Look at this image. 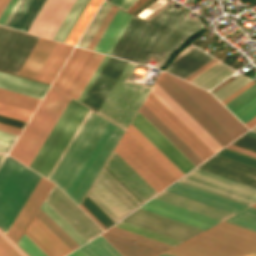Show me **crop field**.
<instances>
[{
    "label": "crop field",
    "instance_id": "crop-field-1",
    "mask_svg": "<svg viewBox=\"0 0 256 256\" xmlns=\"http://www.w3.org/2000/svg\"><path fill=\"white\" fill-rule=\"evenodd\" d=\"M123 132L89 110L47 179L79 205Z\"/></svg>",
    "mask_w": 256,
    "mask_h": 256
},
{
    "label": "crop field",
    "instance_id": "crop-field-2",
    "mask_svg": "<svg viewBox=\"0 0 256 256\" xmlns=\"http://www.w3.org/2000/svg\"><path fill=\"white\" fill-rule=\"evenodd\" d=\"M41 176L11 157L0 168V228L6 233ZM53 183L42 178L27 199L7 231L15 242L19 240Z\"/></svg>",
    "mask_w": 256,
    "mask_h": 256
},
{
    "label": "crop field",
    "instance_id": "crop-field-3",
    "mask_svg": "<svg viewBox=\"0 0 256 256\" xmlns=\"http://www.w3.org/2000/svg\"><path fill=\"white\" fill-rule=\"evenodd\" d=\"M256 251V233L222 222L167 251L177 256H243Z\"/></svg>",
    "mask_w": 256,
    "mask_h": 256
},
{
    "label": "crop field",
    "instance_id": "crop-field-4",
    "mask_svg": "<svg viewBox=\"0 0 256 256\" xmlns=\"http://www.w3.org/2000/svg\"><path fill=\"white\" fill-rule=\"evenodd\" d=\"M52 87L9 154L28 167L71 99Z\"/></svg>",
    "mask_w": 256,
    "mask_h": 256
},
{
    "label": "crop field",
    "instance_id": "crop-field-5",
    "mask_svg": "<svg viewBox=\"0 0 256 256\" xmlns=\"http://www.w3.org/2000/svg\"><path fill=\"white\" fill-rule=\"evenodd\" d=\"M136 67L137 64L128 62L97 112L124 130L151 89L128 81Z\"/></svg>",
    "mask_w": 256,
    "mask_h": 256
},
{
    "label": "crop field",
    "instance_id": "crop-field-6",
    "mask_svg": "<svg viewBox=\"0 0 256 256\" xmlns=\"http://www.w3.org/2000/svg\"><path fill=\"white\" fill-rule=\"evenodd\" d=\"M88 110L71 99L29 168L47 178Z\"/></svg>",
    "mask_w": 256,
    "mask_h": 256
},
{
    "label": "crop field",
    "instance_id": "crop-field-7",
    "mask_svg": "<svg viewBox=\"0 0 256 256\" xmlns=\"http://www.w3.org/2000/svg\"><path fill=\"white\" fill-rule=\"evenodd\" d=\"M87 196L115 223L142 205L104 167Z\"/></svg>",
    "mask_w": 256,
    "mask_h": 256
},
{
    "label": "crop field",
    "instance_id": "crop-field-8",
    "mask_svg": "<svg viewBox=\"0 0 256 256\" xmlns=\"http://www.w3.org/2000/svg\"><path fill=\"white\" fill-rule=\"evenodd\" d=\"M179 181L248 205L256 203V188L198 168Z\"/></svg>",
    "mask_w": 256,
    "mask_h": 256
},
{
    "label": "crop field",
    "instance_id": "crop-field-9",
    "mask_svg": "<svg viewBox=\"0 0 256 256\" xmlns=\"http://www.w3.org/2000/svg\"><path fill=\"white\" fill-rule=\"evenodd\" d=\"M156 84L222 147L234 140L164 72Z\"/></svg>",
    "mask_w": 256,
    "mask_h": 256
},
{
    "label": "crop field",
    "instance_id": "crop-field-10",
    "mask_svg": "<svg viewBox=\"0 0 256 256\" xmlns=\"http://www.w3.org/2000/svg\"><path fill=\"white\" fill-rule=\"evenodd\" d=\"M167 74V73H166ZM234 139L247 129L209 92L167 74Z\"/></svg>",
    "mask_w": 256,
    "mask_h": 256
},
{
    "label": "crop field",
    "instance_id": "crop-field-11",
    "mask_svg": "<svg viewBox=\"0 0 256 256\" xmlns=\"http://www.w3.org/2000/svg\"><path fill=\"white\" fill-rule=\"evenodd\" d=\"M44 201L87 241L103 233V231L55 185H53Z\"/></svg>",
    "mask_w": 256,
    "mask_h": 256
},
{
    "label": "crop field",
    "instance_id": "crop-field-12",
    "mask_svg": "<svg viewBox=\"0 0 256 256\" xmlns=\"http://www.w3.org/2000/svg\"><path fill=\"white\" fill-rule=\"evenodd\" d=\"M158 117L186 146L202 161L214 154L198 139L168 108H166L151 92L143 103Z\"/></svg>",
    "mask_w": 256,
    "mask_h": 256
},
{
    "label": "crop field",
    "instance_id": "crop-field-13",
    "mask_svg": "<svg viewBox=\"0 0 256 256\" xmlns=\"http://www.w3.org/2000/svg\"><path fill=\"white\" fill-rule=\"evenodd\" d=\"M122 221L181 242L202 231L140 209L136 210Z\"/></svg>",
    "mask_w": 256,
    "mask_h": 256
},
{
    "label": "crop field",
    "instance_id": "crop-field-14",
    "mask_svg": "<svg viewBox=\"0 0 256 256\" xmlns=\"http://www.w3.org/2000/svg\"><path fill=\"white\" fill-rule=\"evenodd\" d=\"M126 64L127 61L109 57L81 103L97 112Z\"/></svg>",
    "mask_w": 256,
    "mask_h": 256
},
{
    "label": "crop field",
    "instance_id": "crop-field-15",
    "mask_svg": "<svg viewBox=\"0 0 256 256\" xmlns=\"http://www.w3.org/2000/svg\"><path fill=\"white\" fill-rule=\"evenodd\" d=\"M75 0H47L28 33L52 39Z\"/></svg>",
    "mask_w": 256,
    "mask_h": 256
},
{
    "label": "crop field",
    "instance_id": "crop-field-16",
    "mask_svg": "<svg viewBox=\"0 0 256 256\" xmlns=\"http://www.w3.org/2000/svg\"><path fill=\"white\" fill-rule=\"evenodd\" d=\"M131 124L138 131H140L156 148H158L184 174L187 173L189 170H191L193 167H195L138 112L135 115L134 119L132 120Z\"/></svg>",
    "mask_w": 256,
    "mask_h": 256
},
{
    "label": "crop field",
    "instance_id": "crop-field-17",
    "mask_svg": "<svg viewBox=\"0 0 256 256\" xmlns=\"http://www.w3.org/2000/svg\"><path fill=\"white\" fill-rule=\"evenodd\" d=\"M104 167L143 203L157 194L114 151Z\"/></svg>",
    "mask_w": 256,
    "mask_h": 256
},
{
    "label": "crop field",
    "instance_id": "crop-field-18",
    "mask_svg": "<svg viewBox=\"0 0 256 256\" xmlns=\"http://www.w3.org/2000/svg\"><path fill=\"white\" fill-rule=\"evenodd\" d=\"M140 209L170 218L172 220L205 230L220 221L197 214L195 212L180 208L178 206L163 202L158 199H151Z\"/></svg>",
    "mask_w": 256,
    "mask_h": 256
},
{
    "label": "crop field",
    "instance_id": "crop-field-19",
    "mask_svg": "<svg viewBox=\"0 0 256 256\" xmlns=\"http://www.w3.org/2000/svg\"><path fill=\"white\" fill-rule=\"evenodd\" d=\"M93 55L94 52L76 47L53 86L70 95Z\"/></svg>",
    "mask_w": 256,
    "mask_h": 256
},
{
    "label": "crop field",
    "instance_id": "crop-field-20",
    "mask_svg": "<svg viewBox=\"0 0 256 256\" xmlns=\"http://www.w3.org/2000/svg\"><path fill=\"white\" fill-rule=\"evenodd\" d=\"M198 168L256 187V169L216 155L205 161Z\"/></svg>",
    "mask_w": 256,
    "mask_h": 256
},
{
    "label": "crop field",
    "instance_id": "crop-field-21",
    "mask_svg": "<svg viewBox=\"0 0 256 256\" xmlns=\"http://www.w3.org/2000/svg\"><path fill=\"white\" fill-rule=\"evenodd\" d=\"M24 234L47 256H64L71 252L35 216Z\"/></svg>",
    "mask_w": 256,
    "mask_h": 256
},
{
    "label": "crop field",
    "instance_id": "crop-field-22",
    "mask_svg": "<svg viewBox=\"0 0 256 256\" xmlns=\"http://www.w3.org/2000/svg\"><path fill=\"white\" fill-rule=\"evenodd\" d=\"M166 190L209 204L211 206L226 210L234 214L247 208V206H244L245 204L241 205L242 203L239 204V203L224 199L222 197L204 192L202 190L187 186L179 182L173 183Z\"/></svg>",
    "mask_w": 256,
    "mask_h": 256
},
{
    "label": "crop field",
    "instance_id": "crop-field-23",
    "mask_svg": "<svg viewBox=\"0 0 256 256\" xmlns=\"http://www.w3.org/2000/svg\"><path fill=\"white\" fill-rule=\"evenodd\" d=\"M167 106L197 137H199L214 153L222 147L210 137L190 116H188L168 95L156 84L151 91Z\"/></svg>",
    "mask_w": 256,
    "mask_h": 256
},
{
    "label": "crop field",
    "instance_id": "crop-field-24",
    "mask_svg": "<svg viewBox=\"0 0 256 256\" xmlns=\"http://www.w3.org/2000/svg\"><path fill=\"white\" fill-rule=\"evenodd\" d=\"M131 18L132 15L118 9L104 34L95 46L94 51L110 55Z\"/></svg>",
    "mask_w": 256,
    "mask_h": 256
},
{
    "label": "crop field",
    "instance_id": "crop-field-25",
    "mask_svg": "<svg viewBox=\"0 0 256 256\" xmlns=\"http://www.w3.org/2000/svg\"><path fill=\"white\" fill-rule=\"evenodd\" d=\"M155 198H158L163 201L178 205L180 207L195 211L197 213L212 217L220 221H223L234 215L226 211L211 207L209 205L191 200L189 198L174 194L166 190L162 191Z\"/></svg>",
    "mask_w": 256,
    "mask_h": 256
},
{
    "label": "crop field",
    "instance_id": "crop-field-26",
    "mask_svg": "<svg viewBox=\"0 0 256 256\" xmlns=\"http://www.w3.org/2000/svg\"><path fill=\"white\" fill-rule=\"evenodd\" d=\"M131 152L153 175H155L166 187L175 180L162 169L139 145H137L126 133L119 141Z\"/></svg>",
    "mask_w": 256,
    "mask_h": 256
},
{
    "label": "crop field",
    "instance_id": "crop-field-27",
    "mask_svg": "<svg viewBox=\"0 0 256 256\" xmlns=\"http://www.w3.org/2000/svg\"><path fill=\"white\" fill-rule=\"evenodd\" d=\"M71 49L72 46L56 42L35 79L51 84Z\"/></svg>",
    "mask_w": 256,
    "mask_h": 256
},
{
    "label": "crop field",
    "instance_id": "crop-field-28",
    "mask_svg": "<svg viewBox=\"0 0 256 256\" xmlns=\"http://www.w3.org/2000/svg\"><path fill=\"white\" fill-rule=\"evenodd\" d=\"M243 124L256 116V84L224 105Z\"/></svg>",
    "mask_w": 256,
    "mask_h": 256
},
{
    "label": "crop field",
    "instance_id": "crop-field-29",
    "mask_svg": "<svg viewBox=\"0 0 256 256\" xmlns=\"http://www.w3.org/2000/svg\"><path fill=\"white\" fill-rule=\"evenodd\" d=\"M0 88L42 99L48 85L0 72Z\"/></svg>",
    "mask_w": 256,
    "mask_h": 256
},
{
    "label": "crop field",
    "instance_id": "crop-field-30",
    "mask_svg": "<svg viewBox=\"0 0 256 256\" xmlns=\"http://www.w3.org/2000/svg\"><path fill=\"white\" fill-rule=\"evenodd\" d=\"M54 44L55 41L40 37L32 52L18 72V75L34 79Z\"/></svg>",
    "mask_w": 256,
    "mask_h": 256
},
{
    "label": "crop field",
    "instance_id": "crop-field-31",
    "mask_svg": "<svg viewBox=\"0 0 256 256\" xmlns=\"http://www.w3.org/2000/svg\"><path fill=\"white\" fill-rule=\"evenodd\" d=\"M165 138H167L185 157L195 166L202 162L189 148H187L159 119H157L143 104L138 111Z\"/></svg>",
    "mask_w": 256,
    "mask_h": 256
},
{
    "label": "crop field",
    "instance_id": "crop-field-32",
    "mask_svg": "<svg viewBox=\"0 0 256 256\" xmlns=\"http://www.w3.org/2000/svg\"><path fill=\"white\" fill-rule=\"evenodd\" d=\"M102 236L124 256H156L162 252L107 233Z\"/></svg>",
    "mask_w": 256,
    "mask_h": 256
},
{
    "label": "crop field",
    "instance_id": "crop-field-33",
    "mask_svg": "<svg viewBox=\"0 0 256 256\" xmlns=\"http://www.w3.org/2000/svg\"><path fill=\"white\" fill-rule=\"evenodd\" d=\"M134 171H136L157 193L166 188L120 143L114 150Z\"/></svg>",
    "mask_w": 256,
    "mask_h": 256
},
{
    "label": "crop field",
    "instance_id": "crop-field-34",
    "mask_svg": "<svg viewBox=\"0 0 256 256\" xmlns=\"http://www.w3.org/2000/svg\"><path fill=\"white\" fill-rule=\"evenodd\" d=\"M138 143H140L163 167L176 179L184 175L159 150H157L141 133L131 124L126 130Z\"/></svg>",
    "mask_w": 256,
    "mask_h": 256
},
{
    "label": "crop field",
    "instance_id": "crop-field-35",
    "mask_svg": "<svg viewBox=\"0 0 256 256\" xmlns=\"http://www.w3.org/2000/svg\"><path fill=\"white\" fill-rule=\"evenodd\" d=\"M233 72H235V70L219 62L205 73L197 77L191 83L209 90L223 79L231 75Z\"/></svg>",
    "mask_w": 256,
    "mask_h": 256
},
{
    "label": "crop field",
    "instance_id": "crop-field-36",
    "mask_svg": "<svg viewBox=\"0 0 256 256\" xmlns=\"http://www.w3.org/2000/svg\"><path fill=\"white\" fill-rule=\"evenodd\" d=\"M101 2L102 0H90L82 15L80 16L72 31L68 35L67 39L65 40V43H69L72 45H75L77 43Z\"/></svg>",
    "mask_w": 256,
    "mask_h": 256
},
{
    "label": "crop field",
    "instance_id": "crop-field-37",
    "mask_svg": "<svg viewBox=\"0 0 256 256\" xmlns=\"http://www.w3.org/2000/svg\"><path fill=\"white\" fill-rule=\"evenodd\" d=\"M40 99L0 89V103L34 112Z\"/></svg>",
    "mask_w": 256,
    "mask_h": 256
},
{
    "label": "crop field",
    "instance_id": "crop-field-38",
    "mask_svg": "<svg viewBox=\"0 0 256 256\" xmlns=\"http://www.w3.org/2000/svg\"><path fill=\"white\" fill-rule=\"evenodd\" d=\"M79 249L86 256H122L101 235Z\"/></svg>",
    "mask_w": 256,
    "mask_h": 256
},
{
    "label": "crop field",
    "instance_id": "crop-field-39",
    "mask_svg": "<svg viewBox=\"0 0 256 256\" xmlns=\"http://www.w3.org/2000/svg\"><path fill=\"white\" fill-rule=\"evenodd\" d=\"M110 8L111 5L103 2L102 6L98 10L97 14L95 15L94 19L92 20L91 24L87 28L86 32L84 33L83 37L81 38L77 46L86 48L87 44L95 34L96 30L100 26L101 22L105 18Z\"/></svg>",
    "mask_w": 256,
    "mask_h": 256
},
{
    "label": "crop field",
    "instance_id": "crop-field-40",
    "mask_svg": "<svg viewBox=\"0 0 256 256\" xmlns=\"http://www.w3.org/2000/svg\"><path fill=\"white\" fill-rule=\"evenodd\" d=\"M72 251L79 247L61 228H59L40 208L35 215Z\"/></svg>",
    "mask_w": 256,
    "mask_h": 256
},
{
    "label": "crop field",
    "instance_id": "crop-field-41",
    "mask_svg": "<svg viewBox=\"0 0 256 256\" xmlns=\"http://www.w3.org/2000/svg\"><path fill=\"white\" fill-rule=\"evenodd\" d=\"M49 217H51L69 236H71L80 246L87 242L79 235L67 222H65L52 208L44 201L40 207Z\"/></svg>",
    "mask_w": 256,
    "mask_h": 256
},
{
    "label": "crop field",
    "instance_id": "crop-field-42",
    "mask_svg": "<svg viewBox=\"0 0 256 256\" xmlns=\"http://www.w3.org/2000/svg\"><path fill=\"white\" fill-rule=\"evenodd\" d=\"M103 57H104L103 54L95 53L94 57L92 58L91 62L89 63L88 67L86 68L85 72L81 76L80 80L78 81L77 85L75 86L70 96H72L74 99L77 100L80 93L84 89L85 85L89 81L90 77L96 70L97 66L99 65Z\"/></svg>",
    "mask_w": 256,
    "mask_h": 256
},
{
    "label": "crop field",
    "instance_id": "crop-field-43",
    "mask_svg": "<svg viewBox=\"0 0 256 256\" xmlns=\"http://www.w3.org/2000/svg\"><path fill=\"white\" fill-rule=\"evenodd\" d=\"M114 227L129 231V232L141 235V236H145V237H148V238H151V239H154V240H157V241H160V242L172 245V246H175V245L181 243V242L175 241L173 239L161 236L159 234L144 230L142 228L130 225V224L122 222V221L118 222L116 225H114Z\"/></svg>",
    "mask_w": 256,
    "mask_h": 256
},
{
    "label": "crop field",
    "instance_id": "crop-field-44",
    "mask_svg": "<svg viewBox=\"0 0 256 256\" xmlns=\"http://www.w3.org/2000/svg\"><path fill=\"white\" fill-rule=\"evenodd\" d=\"M225 222L256 232V208L251 207L250 209L226 220Z\"/></svg>",
    "mask_w": 256,
    "mask_h": 256
},
{
    "label": "crop field",
    "instance_id": "crop-field-45",
    "mask_svg": "<svg viewBox=\"0 0 256 256\" xmlns=\"http://www.w3.org/2000/svg\"><path fill=\"white\" fill-rule=\"evenodd\" d=\"M108 232L114 233L116 235L134 240L136 242H139V243L151 246V247H154V248L162 250V251H166L172 247V246H169V245H166V244H163V243H160V242H157V241L145 238V237H141V236H138V235L114 228V227L110 228L108 230Z\"/></svg>",
    "mask_w": 256,
    "mask_h": 256
},
{
    "label": "crop field",
    "instance_id": "crop-field-46",
    "mask_svg": "<svg viewBox=\"0 0 256 256\" xmlns=\"http://www.w3.org/2000/svg\"><path fill=\"white\" fill-rule=\"evenodd\" d=\"M85 1L86 0H76L71 10L67 14L66 18L64 19L63 23L59 27L58 31L54 35L53 37L54 40L61 41V39L63 38L64 34L68 30L69 26L73 22L74 18L78 14L79 10L81 9Z\"/></svg>",
    "mask_w": 256,
    "mask_h": 256
},
{
    "label": "crop field",
    "instance_id": "crop-field-47",
    "mask_svg": "<svg viewBox=\"0 0 256 256\" xmlns=\"http://www.w3.org/2000/svg\"><path fill=\"white\" fill-rule=\"evenodd\" d=\"M249 79H247L244 76H239L232 80L230 83H228L226 86L221 88L219 91H217L215 94H213L220 102L223 101L225 98L230 96L232 93L240 89L242 86L247 84Z\"/></svg>",
    "mask_w": 256,
    "mask_h": 256
},
{
    "label": "crop field",
    "instance_id": "crop-field-48",
    "mask_svg": "<svg viewBox=\"0 0 256 256\" xmlns=\"http://www.w3.org/2000/svg\"><path fill=\"white\" fill-rule=\"evenodd\" d=\"M216 155L256 168V158L226 148L219 151Z\"/></svg>",
    "mask_w": 256,
    "mask_h": 256
},
{
    "label": "crop field",
    "instance_id": "crop-field-49",
    "mask_svg": "<svg viewBox=\"0 0 256 256\" xmlns=\"http://www.w3.org/2000/svg\"><path fill=\"white\" fill-rule=\"evenodd\" d=\"M93 216H95L107 229L115 223L107 217L94 203L86 196L81 203Z\"/></svg>",
    "mask_w": 256,
    "mask_h": 256
},
{
    "label": "crop field",
    "instance_id": "crop-field-50",
    "mask_svg": "<svg viewBox=\"0 0 256 256\" xmlns=\"http://www.w3.org/2000/svg\"><path fill=\"white\" fill-rule=\"evenodd\" d=\"M32 112L0 104V115L27 122Z\"/></svg>",
    "mask_w": 256,
    "mask_h": 256
},
{
    "label": "crop field",
    "instance_id": "crop-field-51",
    "mask_svg": "<svg viewBox=\"0 0 256 256\" xmlns=\"http://www.w3.org/2000/svg\"><path fill=\"white\" fill-rule=\"evenodd\" d=\"M117 8L113 7L111 8V10L109 11L108 15L106 16L105 20L103 21V23L101 24L100 28L98 29L97 33L95 34L94 38L91 39L90 43L87 46V49H91L93 50L94 46L96 45V43L98 42L99 38L101 37V35L103 34L104 30L106 29L107 25L109 24V22L111 21L112 17L114 16V14L116 13Z\"/></svg>",
    "mask_w": 256,
    "mask_h": 256
},
{
    "label": "crop field",
    "instance_id": "crop-field-52",
    "mask_svg": "<svg viewBox=\"0 0 256 256\" xmlns=\"http://www.w3.org/2000/svg\"><path fill=\"white\" fill-rule=\"evenodd\" d=\"M18 245L29 255V256H46L40 249H38L24 234L20 239Z\"/></svg>",
    "mask_w": 256,
    "mask_h": 256
},
{
    "label": "crop field",
    "instance_id": "crop-field-53",
    "mask_svg": "<svg viewBox=\"0 0 256 256\" xmlns=\"http://www.w3.org/2000/svg\"><path fill=\"white\" fill-rule=\"evenodd\" d=\"M17 135L0 131V152L7 154Z\"/></svg>",
    "mask_w": 256,
    "mask_h": 256
},
{
    "label": "crop field",
    "instance_id": "crop-field-54",
    "mask_svg": "<svg viewBox=\"0 0 256 256\" xmlns=\"http://www.w3.org/2000/svg\"><path fill=\"white\" fill-rule=\"evenodd\" d=\"M231 144L256 152V139H253L244 135L237 138Z\"/></svg>",
    "mask_w": 256,
    "mask_h": 256
},
{
    "label": "crop field",
    "instance_id": "crop-field-55",
    "mask_svg": "<svg viewBox=\"0 0 256 256\" xmlns=\"http://www.w3.org/2000/svg\"><path fill=\"white\" fill-rule=\"evenodd\" d=\"M0 256H19V255L0 237Z\"/></svg>",
    "mask_w": 256,
    "mask_h": 256
},
{
    "label": "crop field",
    "instance_id": "crop-field-56",
    "mask_svg": "<svg viewBox=\"0 0 256 256\" xmlns=\"http://www.w3.org/2000/svg\"><path fill=\"white\" fill-rule=\"evenodd\" d=\"M108 59V56L105 55V57L103 58L102 62L100 63V65L98 66L97 70L95 71V73L93 74L92 78L90 79V81L88 82V84L86 85L85 89L83 90V92L81 93L80 97L78 98V101L81 102V100L83 99L84 95L86 94V92L88 91L89 87L91 86V84L93 83L94 79L96 78V76L98 75V73L100 72L101 68L103 67V65L105 64L106 60Z\"/></svg>",
    "mask_w": 256,
    "mask_h": 256
},
{
    "label": "crop field",
    "instance_id": "crop-field-57",
    "mask_svg": "<svg viewBox=\"0 0 256 256\" xmlns=\"http://www.w3.org/2000/svg\"><path fill=\"white\" fill-rule=\"evenodd\" d=\"M215 59V58H214ZM211 60L210 62H208L206 65H204L203 67H201L200 69H198L196 72H194L193 74H191L190 76H188L185 80L187 81H192L194 78H196L197 76H199L200 74H202L204 71H206L207 69H209L210 67H212L214 64H216L218 61L216 60Z\"/></svg>",
    "mask_w": 256,
    "mask_h": 256
},
{
    "label": "crop field",
    "instance_id": "crop-field-58",
    "mask_svg": "<svg viewBox=\"0 0 256 256\" xmlns=\"http://www.w3.org/2000/svg\"><path fill=\"white\" fill-rule=\"evenodd\" d=\"M0 123L14 126V127L21 128V129H23V127L25 125V122L13 120V119L1 117V116H0Z\"/></svg>",
    "mask_w": 256,
    "mask_h": 256
},
{
    "label": "crop field",
    "instance_id": "crop-field-59",
    "mask_svg": "<svg viewBox=\"0 0 256 256\" xmlns=\"http://www.w3.org/2000/svg\"><path fill=\"white\" fill-rule=\"evenodd\" d=\"M0 236L20 255L27 256L15 243H13L1 230Z\"/></svg>",
    "mask_w": 256,
    "mask_h": 256
},
{
    "label": "crop field",
    "instance_id": "crop-field-60",
    "mask_svg": "<svg viewBox=\"0 0 256 256\" xmlns=\"http://www.w3.org/2000/svg\"><path fill=\"white\" fill-rule=\"evenodd\" d=\"M18 0H11L9 5L7 6L6 10L4 11L3 15L0 18V25H3V23L5 22L6 18L8 17V15L10 14V12L12 11L13 7L15 6V4L17 3Z\"/></svg>",
    "mask_w": 256,
    "mask_h": 256
},
{
    "label": "crop field",
    "instance_id": "crop-field-61",
    "mask_svg": "<svg viewBox=\"0 0 256 256\" xmlns=\"http://www.w3.org/2000/svg\"><path fill=\"white\" fill-rule=\"evenodd\" d=\"M255 82L251 81L249 82L247 85H245L244 87H242L240 90H238L237 92H235L234 94H232L230 97H228L227 99H225L223 102H221L223 105L226 104L227 102H229L231 99H233L234 97H236L237 95H239L241 92H243L244 90H246L247 88H249L251 85H253Z\"/></svg>",
    "mask_w": 256,
    "mask_h": 256
},
{
    "label": "crop field",
    "instance_id": "crop-field-62",
    "mask_svg": "<svg viewBox=\"0 0 256 256\" xmlns=\"http://www.w3.org/2000/svg\"><path fill=\"white\" fill-rule=\"evenodd\" d=\"M226 148H229V149H232V150H235V151H238V152H241V153H244V154L256 157V153L248 151V150H245L243 148H240V147H237V146H234V145H231V144L226 146Z\"/></svg>",
    "mask_w": 256,
    "mask_h": 256
},
{
    "label": "crop field",
    "instance_id": "crop-field-63",
    "mask_svg": "<svg viewBox=\"0 0 256 256\" xmlns=\"http://www.w3.org/2000/svg\"><path fill=\"white\" fill-rule=\"evenodd\" d=\"M0 130L10 132L13 134H17V135H19V133L21 132V129H17V128L10 127V126L3 125V124H0Z\"/></svg>",
    "mask_w": 256,
    "mask_h": 256
},
{
    "label": "crop field",
    "instance_id": "crop-field-64",
    "mask_svg": "<svg viewBox=\"0 0 256 256\" xmlns=\"http://www.w3.org/2000/svg\"><path fill=\"white\" fill-rule=\"evenodd\" d=\"M89 2V0H87L84 4V6L82 7V9L80 10L79 14L77 15V17L75 18L74 22L72 23V25L70 26L69 30L67 31V33L65 34L64 38L62 39V42H64V40L66 39L67 35L69 34V32L71 31L72 27L74 26V24L76 23L77 19L79 18V16L81 15L82 11L84 10V8L86 7L87 3Z\"/></svg>",
    "mask_w": 256,
    "mask_h": 256
},
{
    "label": "crop field",
    "instance_id": "crop-field-65",
    "mask_svg": "<svg viewBox=\"0 0 256 256\" xmlns=\"http://www.w3.org/2000/svg\"><path fill=\"white\" fill-rule=\"evenodd\" d=\"M135 0H122L118 8L126 10Z\"/></svg>",
    "mask_w": 256,
    "mask_h": 256
},
{
    "label": "crop field",
    "instance_id": "crop-field-66",
    "mask_svg": "<svg viewBox=\"0 0 256 256\" xmlns=\"http://www.w3.org/2000/svg\"><path fill=\"white\" fill-rule=\"evenodd\" d=\"M80 208L90 217L92 218L103 230H107L95 217H93L82 205Z\"/></svg>",
    "mask_w": 256,
    "mask_h": 256
},
{
    "label": "crop field",
    "instance_id": "crop-field-67",
    "mask_svg": "<svg viewBox=\"0 0 256 256\" xmlns=\"http://www.w3.org/2000/svg\"><path fill=\"white\" fill-rule=\"evenodd\" d=\"M66 256H85L79 249L69 253L68 255Z\"/></svg>",
    "mask_w": 256,
    "mask_h": 256
},
{
    "label": "crop field",
    "instance_id": "crop-field-68",
    "mask_svg": "<svg viewBox=\"0 0 256 256\" xmlns=\"http://www.w3.org/2000/svg\"><path fill=\"white\" fill-rule=\"evenodd\" d=\"M256 124V117H254L253 119H251L250 121H248L246 124V126H248L249 128L253 127Z\"/></svg>",
    "mask_w": 256,
    "mask_h": 256
},
{
    "label": "crop field",
    "instance_id": "crop-field-69",
    "mask_svg": "<svg viewBox=\"0 0 256 256\" xmlns=\"http://www.w3.org/2000/svg\"><path fill=\"white\" fill-rule=\"evenodd\" d=\"M9 0H0V14Z\"/></svg>",
    "mask_w": 256,
    "mask_h": 256
},
{
    "label": "crop field",
    "instance_id": "crop-field-70",
    "mask_svg": "<svg viewBox=\"0 0 256 256\" xmlns=\"http://www.w3.org/2000/svg\"><path fill=\"white\" fill-rule=\"evenodd\" d=\"M244 135H247V136H250V137L256 138V133L251 132V131L246 132Z\"/></svg>",
    "mask_w": 256,
    "mask_h": 256
},
{
    "label": "crop field",
    "instance_id": "crop-field-71",
    "mask_svg": "<svg viewBox=\"0 0 256 256\" xmlns=\"http://www.w3.org/2000/svg\"><path fill=\"white\" fill-rule=\"evenodd\" d=\"M121 0H112L111 4L115 5L118 7V5L120 4Z\"/></svg>",
    "mask_w": 256,
    "mask_h": 256
},
{
    "label": "crop field",
    "instance_id": "crop-field-72",
    "mask_svg": "<svg viewBox=\"0 0 256 256\" xmlns=\"http://www.w3.org/2000/svg\"><path fill=\"white\" fill-rule=\"evenodd\" d=\"M5 156H6V155H4V154H0V164H1L2 161L4 160Z\"/></svg>",
    "mask_w": 256,
    "mask_h": 256
},
{
    "label": "crop field",
    "instance_id": "crop-field-73",
    "mask_svg": "<svg viewBox=\"0 0 256 256\" xmlns=\"http://www.w3.org/2000/svg\"><path fill=\"white\" fill-rule=\"evenodd\" d=\"M158 256H173V255H170V254H167V253H162V254H160Z\"/></svg>",
    "mask_w": 256,
    "mask_h": 256
},
{
    "label": "crop field",
    "instance_id": "crop-field-74",
    "mask_svg": "<svg viewBox=\"0 0 256 256\" xmlns=\"http://www.w3.org/2000/svg\"><path fill=\"white\" fill-rule=\"evenodd\" d=\"M248 256H256V253L250 254V255H248Z\"/></svg>",
    "mask_w": 256,
    "mask_h": 256
},
{
    "label": "crop field",
    "instance_id": "crop-field-75",
    "mask_svg": "<svg viewBox=\"0 0 256 256\" xmlns=\"http://www.w3.org/2000/svg\"><path fill=\"white\" fill-rule=\"evenodd\" d=\"M251 130L255 131L256 130V126L253 129H251Z\"/></svg>",
    "mask_w": 256,
    "mask_h": 256
},
{
    "label": "crop field",
    "instance_id": "crop-field-76",
    "mask_svg": "<svg viewBox=\"0 0 256 256\" xmlns=\"http://www.w3.org/2000/svg\"><path fill=\"white\" fill-rule=\"evenodd\" d=\"M106 2L110 3L111 0H105Z\"/></svg>",
    "mask_w": 256,
    "mask_h": 256
},
{
    "label": "crop field",
    "instance_id": "crop-field-77",
    "mask_svg": "<svg viewBox=\"0 0 256 256\" xmlns=\"http://www.w3.org/2000/svg\"><path fill=\"white\" fill-rule=\"evenodd\" d=\"M254 207H256V204L255 205H253Z\"/></svg>",
    "mask_w": 256,
    "mask_h": 256
}]
</instances>
